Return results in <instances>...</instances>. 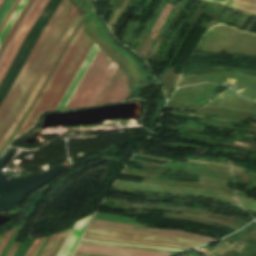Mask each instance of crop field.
I'll list each match as a JSON object with an SVG mask.
<instances>
[{
	"instance_id": "crop-field-29",
	"label": "crop field",
	"mask_w": 256,
	"mask_h": 256,
	"mask_svg": "<svg viewBox=\"0 0 256 256\" xmlns=\"http://www.w3.org/2000/svg\"><path fill=\"white\" fill-rule=\"evenodd\" d=\"M5 235H6V234H3V235L1 236L0 242L2 241V239L4 238Z\"/></svg>"
},
{
	"instance_id": "crop-field-6",
	"label": "crop field",
	"mask_w": 256,
	"mask_h": 256,
	"mask_svg": "<svg viewBox=\"0 0 256 256\" xmlns=\"http://www.w3.org/2000/svg\"><path fill=\"white\" fill-rule=\"evenodd\" d=\"M86 232L97 233V234H105V235H113V236H121V237H129V238H140V239H152V240H161V241H170V242H179L191 244L194 246L203 244L187 239L182 238H174V237H165V236H151V235H139V234H131V233H121V232H111V231H102V230H94L87 229Z\"/></svg>"
},
{
	"instance_id": "crop-field-5",
	"label": "crop field",
	"mask_w": 256,
	"mask_h": 256,
	"mask_svg": "<svg viewBox=\"0 0 256 256\" xmlns=\"http://www.w3.org/2000/svg\"><path fill=\"white\" fill-rule=\"evenodd\" d=\"M99 49L100 48L94 43L92 49L90 50L88 56L86 57L84 63L82 64L80 70L78 71L76 77L74 78L73 82L71 83V85H70L69 89L67 90L65 96L63 97L61 103L59 104L57 110L65 109L70 98L72 97L73 93L75 92L76 88L78 87L79 83L81 82L83 76L85 75L86 71L88 70L89 66L91 65L92 61L94 60L96 54L98 53Z\"/></svg>"
},
{
	"instance_id": "crop-field-31",
	"label": "crop field",
	"mask_w": 256,
	"mask_h": 256,
	"mask_svg": "<svg viewBox=\"0 0 256 256\" xmlns=\"http://www.w3.org/2000/svg\"><path fill=\"white\" fill-rule=\"evenodd\" d=\"M2 2H3V0H0V5H1Z\"/></svg>"
},
{
	"instance_id": "crop-field-15",
	"label": "crop field",
	"mask_w": 256,
	"mask_h": 256,
	"mask_svg": "<svg viewBox=\"0 0 256 256\" xmlns=\"http://www.w3.org/2000/svg\"><path fill=\"white\" fill-rule=\"evenodd\" d=\"M27 1L28 0H21V2L19 3V5H18L17 9L15 10L14 14L12 15V17L10 18V20L6 24L4 30L1 32V34H0V45L3 41V39L5 38L6 34L10 30V28L13 26L17 16L21 12V10L23 9V7H24V5L26 4Z\"/></svg>"
},
{
	"instance_id": "crop-field-1",
	"label": "crop field",
	"mask_w": 256,
	"mask_h": 256,
	"mask_svg": "<svg viewBox=\"0 0 256 256\" xmlns=\"http://www.w3.org/2000/svg\"><path fill=\"white\" fill-rule=\"evenodd\" d=\"M69 1L82 18L90 4L89 0ZM69 1L63 0L49 20L16 81L0 105V150L21 121L81 19Z\"/></svg>"
},
{
	"instance_id": "crop-field-20",
	"label": "crop field",
	"mask_w": 256,
	"mask_h": 256,
	"mask_svg": "<svg viewBox=\"0 0 256 256\" xmlns=\"http://www.w3.org/2000/svg\"><path fill=\"white\" fill-rule=\"evenodd\" d=\"M82 240L92 241V240H88V239H82ZM93 242L105 243V244H116V245H127V246L143 247V248H153V249H163V250L182 251V250H178V249H167V248L147 247V246H138V245H130V244H122V243L100 242V241H93Z\"/></svg>"
},
{
	"instance_id": "crop-field-8",
	"label": "crop field",
	"mask_w": 256,
	"mask_h": 256,
	"mask_svg": "<svg viewBox=\"0 0 256 256\" xmlns=\"http://www.w3.org/2000/svg\"><path fill=\"white\" fill-rule=\"evenodd\" d=\"M91 216L76 223L59 256H70Z\"/></svg>"
},
{
	"instance_id": "crop-field-26",
	"label": "crop field",
	"mask_w": 256,
	"mask_h": 256,
	"mask_svg": "<svg viewBox=\"0 0 256 256\" xmlns=\"http://www.w3.org/2000/svg\"><path fill=\"white\" fill-rule=\"evenodd\" d=\"M51 237H52V236H50V238L48 239V241L45 243V245H44V247H43L41 253L39 254V256H41V254L43 253V251H44L45 247L47 246V244H48L49 240L51 239Z\"/></svg>"
},
{
	"instance_id": "crop-field-9",
	"label": "crop field",
	"mask_w": 256,
	"mask_h": 256,
	"mask_svg": "<svg viewBox=\"0 0 256 256\" xmlns=\"http://www.w3.org/2000/svg\"><path fill=\"white\" fill-rule=\"evenodd\" d=\"M48 2V0H43L42 3L40 4V6L38 7L36 13L34 14V16L32 17L31 21L29 22V24L27 25V27L25 28L24 32L22 33V35L20 36V38L17 40L12 52L10 53L1 73H0V81L2 79V77L4 76L5 72L7 71L8 67L10 66L22 40L24 39V37L26 36V34L28 33V31L30 30V28L33 26L35 20L37 19V17L39 16V14L41 13L43 7L45 6V4ZM47 5V4H46ZM45 8V7H44Z\"/></svg>"
},
{
	"instance_id": "crop-field-18",
	"label": "crop field",
	"mask_w": 256,
	"mask_h": 256,
	"mask_svg": "<svg viewBox=\"0 0 256 256\" xmlns=\"http://www.w3.org/2000/svg\"><path fill=\"white\" fill-rule=\"evenodd\" d=\"M37 2H38V0H35L34 4L32 5V7H31L30 10H29V12L27 11V12H28L27 15L25 16V18H24V19L22 20V22L20 23V25H19V27H18L16 33L14 34L13 38H12L11 41L9 42L7 48L5 49L3 55H2V57H1V59H0V65H1V63H2V61H3V59H4L5 55H6V53H7V51H8V49H9V47H10V45H11L13 39L15 38V36H16V35L18 34V32L20 31L21 27L23 26L24 22H25L26 19L28 18L29 14L31 13V11L33 10V8L35 7V5H36Z\"/></svg>"
},
{
	"instance_id": "crop-field-14",
	"label": "crop field",
	"mask_w": 256,
	"mask_h": 256,
	"mask_svg": "<svg viewBox=\"0 0 256 256\" xmlns=\"http://www.w3.org/2000/svg\"><path fill=\"white\" fill-rule=\"evenodd\" d=\"M91 228H97V229H103V230H112V231H122V232H131V233H139V234H152V235H165V236H175V237H182V238H188L195 241L206 243L208 241L200 240L197 238H193L190 236H184V235H175V234H163V233H151V232H139V231H130V230H124V229H117V228H109V227H98V226H92L89 225Z\"/></svg>"
},
{
	"instance_id": "crop-field-7",
	"label": "crop field",
	"mask_w": 256,
	"mask_h": 256,
	"mask_svg": "<svg viewBox=\"0 0 256 256\" xmlns=\"http://www.w3.org/2000/svg\"><path fill=\"white\" fill-rule=\"evenodd\" d=\"M91 224L92 225H98V226H109V227L124 228V229H130V230L185 234V235H190V236H194V237L205 239V240H209V241L214 240V239H210V238L203 237V236H200V235H197V234H194V233H189V232L173 231V230L150 229V228H145L144 226L112 223V222H107V221H103V220H99V219H95V218H93Z\"/></svg>"
},
{
	"instance_id": "crop-field-23",
	"label": "crop field",
	"mask_w": 256,
	"mask_h": 256,
	"mask_svg": "<svg viewBox=\"0 0 256 256\" xmlns=\"http://www.w3.org/2000/svg\"><path fill=\"white\" fill-rule=\"evenodd\" d=\"M19 245H20V243L14 242V244H13L12 248L10 249L9 253L7 254V256H12Z\"/></svg>"
},
{
	"instance_id": "crop-field-16",
	"label": "crop field",
	"mask_w": 256,
	"mask_h": 256,
	"mask_svg": "<svg viewBox=\"0 0 256 256\" xmlns=\"http://www.w3.org/2000/svg\"><path fill=\"white\" fill-rule=\"evenodd\" d=\"M72 230V229H71ZM71 230H67V231H63L56 243V245L54 246V248L52 249L51 253L49 254V256H58L64 242L66 241L67 237L69 236Z\"/></svg>"
},
{
	"instance_id": "crop-field-13",
	"label": "crop field",
	"mask_w": 256,
	"mask_h": 256,
	"mask_svg": "<svg viewBox=\"0 0 256 256\" xmlns=\"http://www.w3.org/2000/svg\"><path fill=\"white\" fill-rule=\"evenodd\" d=\"M34 0H29L26 4V6L24 7V9L22 10V12L20 13L16 23L14 24V26L11 28L10 32L8 33L6 39L4 40V42L2 43V45L0 46V56L2 55L5 47L7 46L9 40L11 39V37L13 36L17 26L19 25V23L21 22V20L24 18V16L26 15L27 11L29 10V8L31 7V5L33 4Z\"/></svg>"
},
{
	"instance_id": "crop-field-30",
	"label": "crop field",
	"mask_w": 256,
	"mask_h": 256,
	"mask_svg": "<svg viewBox=\"0 0 256 256\" xmlns=\"http://www.w3.org/2000/svg\"><path fill=\"white\" fill-rule=\"evenodd\" d=\"M34 242H35V241H34ZM33 244H34V243H33ZM32 246H33V245H32ZM32 246H31V248H32ZM31 248H30V250H31ZM30 250H29V251H30ZM29 251H28V252H29ZM27 254H28V253H27ZM27 254H26V255H27Z\"/></svg>"
},
{
	"instance_id": "crop-field-24",
	"label": "crop field",
	"mask_w": 256,
	"mask_h": 256,
	"mask_svg": "<svg viewBox=\"0 0 256 256\" xmlns=\"http://www.w3.org/2000/svg\"><path fill=\"white\" fill-rule=\"evenodd\" d=\"M41 240H42L41 238L38 239V240H36V242H35V244H34L32 250L29 252V254H28L27 256H32V255H33V253L35 252V250H36V248L38 247V245H39V243L41 242Z\"/></svg>"
},
{
	"instance_id": "crop-field-3",
	"label": "crop field",
	"mask_w": 256,
	"mask_h": 256,
	"mask_svg": "<svg viewBox=\"0 0 256 256\" xmlns=\"http://www.w3.org/2000/svg\"><path fill=\"white\" fill-rule=\"evenodd\" d=\"M111 61L112 60L100 49L66 109L86 106Z\"/></svg>"
},
{
	"instance_id": "crop-field-2",
	"label": "crop field",
	"mask_w": 256,
	"mask_h": 256,
	"mask_svg": "<svg viewBox=\"0 0 256 256\" xmlns=\"http://www.w3.org/2000/svg\"><path fill=\"white\" fill-rule=\"evenodd\" d=\"M94 10L92 8L87 19L72 40L62 60L50 78L48 84L32 108L23 125L20 127L14 138L28 130L36 121L38 115L43 111L56 110L74 76L79 70L85 57L93 45V41L82 31Z\"/></svg>"
},
{
	"instance_id": "crop-field-10",
	"label": "crop field",
	"mask_w": 256,
	"mask_h": 256,
	"mask_svg": "<svg viewBox=\"0 0 256 256\" xmlns=\"http://www.w3.org/2000/svg\"><path fill=\"white\" fill-rule=\"evenodd\" d=\"M127 77L123 73L119 83L117 84L114 92L112 93L108 103L119 102L129 95V88L126 84Z\"/></svg>"
},
{
	"instance_id": "crop-field-25",
	"label": "crop field",
	"mask_w": 256,
	"mask_h": 256,
	"mask_svg": "<svg viewBox=\"0 0 256 256\" xmlns=\"http://www.w3.org/2000/svg\"><path fill=\"white\" fill-rule=\"evenodd\" d=\"M19 1H20V0H18V2L16 3V5H15L14 9L12 10L11 14H10V15H9V17L7 18V20H6V22L4 23V25L2 26L1 30L3 29V27H4V26H5V24L7 23L8 19L10 18V16L13 14V12H14V10L16 9V7H17V5H18ZM1 30H0V32H1Z\"/></svg>"
},
{
	"instance_id": "crop-field-17",
	"label": "crop field",
	"mask_w": 256,
	"mask_h": 256,
	"mask_svg": "<svg viewBox=\"0 0 256 256\" xmlns=\"http://www.w3.org/2000/svg\"><path fill=\"white\" fill-rule=\"evenodd\" d=\"M84 236L96 237V238H104V239H111V240H118V241H125V242H132V243L158 244V245H170V246L183 247V248H192V247L183 246V245H177V244L156 243V242H144V241H131V240H123V239H115V238H107V237L90 236V235H85V234H84Z\"/></svg>"
},
{
	"instance_id": "crop-field-22",
	"label": "crop field",
	"mask_w": 256,
	"mask_h": 256,
	"mask_svg": "<svg viewBox=\"0 0 256 256\" xmlns=\"http://www.w3.org/2000/svg\"><path fill=\"white\" fill-rule=\"evenodd\" d=\"M15 229L11 230L10 232L7 233L6 237L4 238L2 244L0 245V253L3 250L4 246L8 242L9 238L11 237L12 233L14 232Z\"/></svg>"
},
{
	"instance_id": "crop-field-11",
	"label": "crop field",
	"mask_w": 256,
	"mask_h": 256,
	"mask_svg": "<svg viewBox=\"0 0 256 256\" xmlns=\"http://www.w3.org/2000/svg\"><path fill=\"white\" fill-rule=\"evenodd\" d=\"M115 63L112 61L111 65L109 66L107 72L105 73L104 77L102 78L100 84L98 85L97 89L95 90L94 94L92 95L90 101L88 102L87 106L95 105L96 101L98 100L100 94L102 93L103 89L105 88L106 84L108 83L109 79L111 78L113 72L116 69Z\"/></svg>"
},
{
	"instance_id": "crop-field-21",
	"label": "crop field",
	"mask_w": 256,
	"mask_h": 256,
	"mask_svg": "<svg viewBox=\"0 0 256 256\" xmlns=\"http://www.w3.org/2000/svg\"><path fill=\"white\" fill-rule=\"evenodd\" d=\"M60 233L59 234H56V235H53L51 241L49 242L48 246L46 247L44 253L42 256H48V254L50 253L51 249L53 248L54 244L56 243L58 237H59Z\"/></svg>"
},
{
	"instance_id": "crop-field-19",
	"label": "crop field",
	"mask_w": 256,
	"mask_h": 256,
	"mask_svg": "<svg viewBox=\"0 0 256 256\" xmlns=\"http://www.w3.org/2000/svg\"><path fill=\"white\" fill-rule=\"evenodd\" d=\"M41 1H42V0H39V2L37 3L36 7H35L34 10L32 11V13L30 14L29 18H28L27 21L25 22V24H24V26L22 27L21 31L19 32V34H18L16 40H17V39L19 38V36L21 35L22 31L24 30V28H25L26 25L28 24L29 20H30L31 17L33 16L35 10L37 9V7H38L39 4L41 3ZM16 40L14 41V43L16 42ZM14 43H13V45H14ZM13 45H12V47H13ZM12 47L10 48L9 52L7 53V55H6V57H5V59H4L3 63H2V65L0 66V70H1V68L3 67V65H4V63H5V61H6L7 57H8V55H9L11 49H12Z\"/></svg>"
},
{
	"instance_id": "crop-field-4",
	"label": "crop field",
	"mask_w": 256,
	"mask_h": 256,
	"mask_svg": "<svg viewBox=\"0 0 256 256\" xmlns=\"http://www.w3.org/2000/svg\"><path fill=\"white\" fill-rule=\"evenodd\" d=\"M76 252L101 254L109 256H167L173 254L151 250L114 248L81 243L79 244Z\"/></svg>"
},
{
	"instance_id": "crop-field-28",
	"label": "crop field",
	"mask_w": 256,
	"mask_h": 256,
	"mask_svg": "<svg viewBox=\"0 0 256 256\" xmlns=\"http://www.w3.org/2000/svg\"><path fill=\"white\" fill-rule=\"evenodd\" d=\"M44 239H45V237H44ZM44 239H43V241H44ZM43 241H42V242H43ZM42 242H41V244H42ZM41 244L39 245V247L41 246ZM39 247H38V249H39ZM38 249L36 250V252L38 251ZM36 252L34 253V255L36 254ZM34 255H33V256H34Z\"/></svg>"
},
{
	"instance_id": "crop-field-27",
	"label": "crop field",
	"mask_w": 256,
	"mask_h": 256,
	"mask_svg": "<svg viewBox=\"0 0 256 256\" xmlns=\"http://www.w3.org/2000/svg\"><path fill=\"white\" fill-rule=\"evenodd\" d=\"M88 234H90V233H88ZM95 235H97V234H95ZM101 236H104V235H101ZM108 237H112V236H108ZM116 238H120V237H116ZM126 239H128V238H126ZM137 240H140V239H137ZM149 241H152V240H149ZM159 242H161V241H159ZM167 243H170V242H167ZM179 244V243H178ZM184 245H186V244H184ZM190 246V245H189ZM194 247V246H193Z\"/></svg>"
},
{
	"instance_id": "crop-field-12",
	"label": "crop field",
	"mask_w": 256,
	"mask_h": 256,
	"mask_svg": "<svg viewBox=\"0 0 256 256\" xmlns=\"http://www.w3.org/2000/svg\"><path fill=\"white\" fill-rule=\"evenodd\" d=\"M122 73L123 72L117 67L116 71L114 72L112 78L110 79L109 83L107 84L106 88L104 89L103 93L101 94L96 105L106 103L108 97L110 96L111 92L113 91V89H114L115 85L117 84L118 80L120 79Z\"/></svg>"
}]
</instances>
